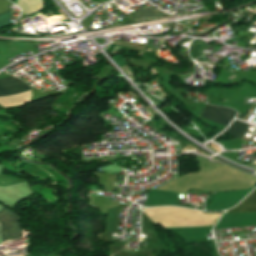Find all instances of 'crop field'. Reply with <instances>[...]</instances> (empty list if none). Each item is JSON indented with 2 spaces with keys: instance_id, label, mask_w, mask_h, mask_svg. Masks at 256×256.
Returning a JSON list of instances; mask_svg holds the SVG:
<instances>
[{
  "instance_id": "obj_1",
  "label": "crop field",
  "mask_w": 256,
  "mask_h": 256,
  "mask_svg": "<svg viewBox=\"0 0 256 256\" xmlns=\"http://www.w3.org/2000/svg\"><path fill=\"white\" fill-rule=\"evenodd\" d=\"M19 219L21 218L17 214L6 208H3L0 211V223L3 241L6 239L13 240L21 238L23 236L22 230L20 229V225L17 222Z\"/></svg>"
},
{
  "instance_id": "obj_2",
  "label": "crop field",
  "mask_w": 256,
  "mask_h": 256,
  "mask_svg": "<svg viewBox=\"0 0 256 256\" xmlns=\"http://www.w3.org/2000/svg\"><path fill=\"white\" fill-rule=\"evenodd\" d=\"M235 115L233 110L206 105L201 117L227 125Z\"/></svg>"
},
{
  "instance_id": "obj_3",
  "label": "crop field",
  "mask_w": 256,
  "mask_h": 256,
  "mask_svg": "<svg viewBox=\"0 0 256 256\" xmlns=\"http://www.w3.org/2000/svg\"><path fill=\"white\" fill-rule=\"evenodd\" d=\"M28 91H31L30 87L17 78L7 75L0 78V95Z\"/></svg>"
},
{
  "instance_id": "obj_4",
  "label": "crop field",
  "mask_w": 256,
  "mask_h": 256,
  "mask_svg": "<svg viewBox=\"0 0 256 256\" xmlns=\"http://www.w3.org/2000/svg\"><path fill=\"white\" fill-rule=\"evenodd\" d=\"M226 213L233 214H256V190L250 193L238 206Z\"/></svg>"
},
{
  "instance_id": "obj_5",
  "label": "crop field",
  "mask_w": 256,
  "mask_h": 256,
  "mask_svg": "<svg viewBox=\"0 0 256 256\" xmlns=\"http://www.w3.org/2000/svg\"><path fill=\"white\" fill-rule=\"evenodd\" d=\"M42 4V0H18V5L24 11L25 15L41 10Z\"/></svg>"
},
{
  "instance_id": "obj_6",
  "label": "crop field",
  "mask_w": 256,
  "mask_h": 256,
  "mask_svg": "<svg viewBox=\"0 0 256 256\" xmlns=\"http://www.w3.org/2000/svg\"><path fill=\"white\" fill-rule=\"evenodd\" d=\"M248 124L235 120L232 125L224 132L231 134L234 138H243Z\"/></svg>"
},
{
  "instance_id": "obj_7",
  "label": "crop field",
  "mask_w": 256,
  "mask_h": 256,
  "mask_svg": "<svg viewBox=\"0 0 256 256\" xmlns=\"http://www.w3.org/2000/svg\"><path fill=\"white\" fill-rule=\"evenodd\" d=\"M153 16H170L167 15L152 5L148 7L146 10L138 9L133 14H131L128 18H137V17H153Z\"/></svg>"
},
{
  "instance_id": "obj_8",
  "label": "crop field",
  "mask_w": 256,
  "mask_h": 256,
  "mask_svg": "<svg viewBox=\"0 0 256 256\" xmlns=\"http://www.w3.org/2000/svg\"><path fill=\"white\" fill-rule=\"evenodd\" d=\"M20 182H24L23 180H19V179H15V178H11V177H7V176H3L0 175V185L5 186V185H13V184H17Z\"/></svg>"
},
{
  "instance_id": "obj_9",
  "label": "crop field",
  "mask_w": 256,
  "mask_h": 256,
  "mask_svg": "<svg viewBox=\"0 0 256 256\" xmlns=\"http://www.w3.org/2000/svg\"><path fill=\"white\" fill-rule=\"evenodd\" d=\"M10 17H11L10 10L0 15V28L8 24Z\"/></svg>"
}]
</instances>
